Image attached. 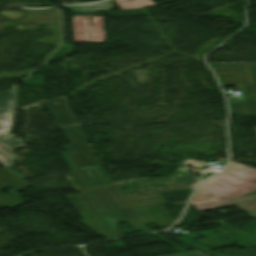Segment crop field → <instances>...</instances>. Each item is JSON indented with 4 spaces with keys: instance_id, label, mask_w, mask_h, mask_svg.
<instances>
[{
    "instance_id": "crop-field-2",
    "label": "crop field",
    "mask_w": 256,
    "mask_h": 256,
    "mask_svg": "<svg viewBox=\"0 0 256 256\" xmlns=\"http://www.w3.org/2000/svg\"><path fill=\"white\" fill-rule=\"evenodd\" d=\"M15 120V111L5 114H0V164L11 170L20 178L24 176L12 169L18 157L11 150L25 146L22 138H10ZM4 135L9 138L4 139Z\"/></svg>"
},
{
    "instance_id": "crop-field-6",
    "label": "crop field",
    "mask_w": 256,
    "mask_h": 256,
    "mask_svg": "<svg viewBox=\"0 0 256 256\" xmlns=\"http://www.w3.org/2000/svg\"><path fill=\"white\" fill-rule=\"evenodd\" d=\"M59 126L77 123L70 114L67 102L64 98H55L45 102Z\"/></svg>"
},
{
    "instance_id": "crop-field-10",
    "label": "crop field",
    "mask_w": 256,
    "mask_h": 256,
    "mask_svg": "<svg viewBox=\"0 0 256 256\" xmlns=\"http://www.w3.org/2000/svg\"><path fill=\"white\" fill-rule=\"evenodd\" d=\"M115 1L121 7L122 10L155 5L152 0H131L124 3L121 2L124 0H115Z\"/></svg>"
},
{
    "instance_id": "crop-field-5",
    "label": "crop field",
    "mask_w": 256,
    "mask_h": 256,
    "mask_svg": "<svg viewBox=\"0 0 256 256\" xmlns=\"http://www.w3.org/2000/svg\"><path fill=\"white\" fill-rule=\"evenodd\" d=\"M28 186L30 185L25 183L12 172L6 170L5 168L0 170V191L4 188L10 187L14 190L13 192H16ZM19 205H22V198L15 193L0 196V209L15 208Z\"/></svg>"
},
{
    "instance_id": "crop-field-1",
    "label": "crop field",
    "mask_w": 256,
    "mask_h": 256,
    "mask_svg": "<svg viewBox=\"0 0 256 256\" xmlns=\"http://www.w3.org/2000/svg\"><path fill=\"white\" fill-rule=\"evenodd\" d=\"M215 72L234 74L217 75L222 85L241 84L246 94H256V63L209 64Z\"/></svg>"
},
{
    "instance_id": "crop-field-3",
    "label": "crop field",
    "mask_w": 256,
    "mask_h": 256,
    "mask_svg": "<svg viewBox=\"0 0 256 256\" xmlns=\"http://www.w3.org/2000/svg\"><path fill=\"white\" fill-rule=\"evenodd\" d=\"M62 130L71 143L64 145V147L77 169L82 166L99 164V161L85 142L87 138L81 126L64 127Z\"/></svg>"
},
{
    "instance_id": "crop-field-11",
    "label": "crop field",
    "mask_w": 256,
    "mask_h": 256,
    "mask_svg": "<svg viewBox=\"0 0 256 256\" xmlns=\"http://www.w3.org/2000/svg\"><path fill=\"white\" fill-rule=\"evenodd\" d=\"M61 156L63 157V159L65 160L66 164L68 165V167L70 168V170H74L76 169V167L74 166V164L72 163L71 159L69 158V156L67 155V153H63L61 154Z\"/></svg>"
},
{
    "instance_id": "crop-field-12",
    "label": "crop field",
    "mask_w": 256,
    "mask_h": 256,
    "mask_svg": "<svg viewBox=\"0 0 256 256\" xmlns=\"http://www.w3.org/2000/svg\"><path fill=\"white\" fill-rule=\"evenodd\" d=\"M175 256H203L197 252H193V253H187V254H181V255H175Z\"/></svg>"
},
{
    "instance_id": "crop-field-4",
    "label": "crop field",
    "mask_w": 256,
    "mask_h": 256,
    "mask_svg": "<svg viewBox=\"0 0 256 256\" xmlns=\"http://www.w3.org/2000/svg\"><path fill=\"white\" fill-rule=\"evenodd\" d=\"M92 17V24L88 22ZM103 17L96 16H74V42H104V31L102 29ZM89 29H91V39L88 40Z\"/></svg>"
},
{
    "instance_id": "crop-field-8",
    "label": "crop field",
    "mask_w": 256,
    "mask_h": 256,
    "mask_svg": "<svg viewBox=\"0 0 256 256\" xmlns=\"http://www.w3.org/2000/svg\"><path fill=\"white\" fill-rule=\"evenodd\" d=\"M18 90L0 93V113L10 112L16 108Z\"/></svg>"
},
{
    "instance_id": "crop-field-7",
    "label": "crop field",
    "mask_w": 256,
    "mask_h": 256,
    "mask_svg": "<svg viewBox=\"0 0 256 256\" xmlns=\"http://www.w3.org/2000/svg\"><path fill=\"white\" fill-rule=\"evenodd\" d=\"M246 102L233 103L230 111L233 115L256 117V99L254 96L245 97Z\"/></svg>"
},
{
    "instance_id": "crop-field-9",
    "label": "crop field",
    "mask_w": 256,
    "mask_h": 256,
    "mask_svg": "<svg viewBox=\"0 0 256 256\" xmlns=\"http://www.w3.org/2000/svg\"><path fill=\"white\" fill-rule=\"evenodd\" d=\"M67 9H70L74 12H89V11H107L111 9L110 1L92 4V5H80V6H68Z\"/></svg>"
}]
</instances>
